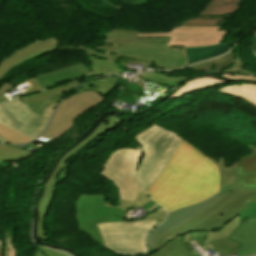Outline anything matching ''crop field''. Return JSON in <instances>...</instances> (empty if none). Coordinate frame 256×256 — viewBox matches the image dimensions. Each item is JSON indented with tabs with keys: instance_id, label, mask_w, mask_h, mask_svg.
I'll return each instance as SVG.
<instances>
[{
	"instance_id": "00972430",
	"label": "crop field",
	"mask_w": 256,
	"mask_h": 256,
	"mask_svg": "<svg viewBox=\"0 0 256 256\" xmlns=\"http://www.w3.org/2000/svg\"><path fill=\"white\" fill-rule=\"evenodd\" d=\"M82 81H78V82H72V83H68L56 88H52L46 91H42L40 93H36L33 94L34 96L29 97V95L27 96H23L20 97V99L22 101H25L26 104L30 105V104H39V103H43V102H47L59 95H61L62 93L66 92L69 88L79 84ZM54 92H56V94H54Z\"/></svg>"
},
{
	"instance_id": "425ffa30",
	"label": "crop field",
	"mask_w": 256,
	"mask_h": 256,
	"mask_svg": "<svg viewBox=\"0 0 256 256\" xmlns=\"http://www.w3.org/2000/svg\"><path fill=\"white\" fill-rule=\"evenodd\" d=\"M49 250L55 251V252H58V253H61V254L66 255V256H72L71 254H69V253H67V252H64V251L55 250V249H51V248H49Z\"/></svg>"
},
{
	"instance_id": "8a807250",
	"label": "crop field",
	"mask_w": 256,
	"mask_h": 256,
	"mask_svg": "<svg viewBox=\"0 0 256 256\" xmlns=\"http://www.w3.org/2000/svg\"><path fill=\"white\" fill-rule=\"evenodd\" d=\"M218 190L217 166L183 141L147 194L170 212L202 201Z\"/></svg>"
},
{
	"instance_id": "dbb93151",
	"label": "crop field",
	"mask_w": 256,
	"mask_h": 256,
	"mask_svg": "<svg viewBox=\"0 0 256 256\" xmlns=\"http://www.w3.org/2000/svg\"><path fill=\"white\" fill-rule=\"evenodd\" d=\"M254 52L256 53V40H255V43H254Z\"/></svg>"
},
{
	"instance_id": "bd1437ed",
	"label": "crop field",
	"mask_w": 256,
	"mask_h": 256,
	"mask_svg": "<svg viewBox=\"0 0 256 256\" xmlns=\"http://www.w3.org/2000/svg\"><path fill=\"white\" fill-rule=\"evenodd\" d=\"M143 89L140 87H137L133 85L132 83H129L123 90L120 92V94L115 98V100H118L117 106L121 105L122 102H131L133 103V97L141 96Z\"/></svg>"
},
{
	"instance_id": "3316defc",
	"label": "crop field",
	"mask_w": 256,
	"mask_h": 256,
	"mask_svg": "<svg viewBox=\"0 0 256 256\" xmlns=\"http://www.w3.org/2000/svg\"><path fill=\"white\" fill-rule=\"evenodd\" d=\"M50 118L33 113L19 98L0 104V123L36 139Z\"/></svg>"
},
{
	"instance_id": "5d738f31",
	"label": "crop field",
	"mask_w": 256,
	"mask_h": 256,
	"mask_svg": "<svg viewBox=\"0 0 256 256\" xmlns=\"http://www.w3.org/2000/svg\"><path fill=\"white\" fill-rule=\"evenodd\" d=\"M117 46H113V45H106V46H103V47H98V48H101L103 50H106L108 52H112Z\"/></svg>"
},
{
	"instance_id": "c21b1889",
	"label": "crop field",
	"mask_w": 256,
	"mask_h": 256,
	"mask_svg": "<svg viewBox=\"0 0 256 256\" xmlns=\"http://www.w3.org/2000/svg\"><path fill=\"white\" fill-rule=\"evenodd\" d=\"M3 244H4L3 256H9V252H8V235H7V231L6 230H5V240H3Z\"/></svg>"
},
{
	"instance_id": "733c2abd",
	"label": "crop field",
	"mask_w": 256,
	"mask_h": 256,
	"mask_svg": "<svg viewBox=\"0 0 256 256\" xmlns=\"http://www.w3.org/2000/svg\"><path fill=\"white\" fill-rule=\"evenodd\" d=\"M236 41L237 39L228 44H212L188 47L185 51V55L188 58V64H186V66L222 55L232 48Z\"/></svg>"
},
{
	"instance_id": "412701ff",
	"label": "crop field",
	"mask_w": 256,
	"mask_h": 256,
	"mask_svg": "<svg viewBox=\"0 0 256 256\" xmlns=\"http://www.w3.org/2000/svg\"><path fill=\"white\" fill-rule=\"evenodd\" d=\"M133 138L143 148V157L136 177L147 192L183 140L174 133L154 125Z\"/></svg>"
},
{
	"instance_id": "c035e120",
	"label": "crop field",
	"mask_w": 256,
	"mask_h": 256,
	"mask_svg": "<svg viewBox=\"0 0 256 256\" xmlns=\"http://www.w3.org/2000/svg\"><path fill=\"white\" fill-rule=\"evenodd\" d=\"M224 77L232 78V79H248V80H256V78L244 75H234V74H222Z\"/></svg>"
},
{
	"instance_id": "bc2a9ffb",
	"label": "crop field",
	"mask_w": 256,
	"mask_h": 256,
	"mask_svg": "<svg viewBox=\"0 0 256 256\" xmlns=\"http://www.w3.org/2000/svg\"><path fill=\"white\" fill-rule=\"evenodd\" d=\"M237 167L242 186L256 188V151L242 157ZM249 201L256 202V193Z\"/></svg>"
},
{
	"instance_id": "b54c1fbb",
	"label": "crop field",
	"mask_w": 256,
	"mask_h": 256,
	"mask_svg": "<svg viewBox=\"0 0 256 256\" xmlns=\"http://www.w3.org/2000/svg\"><path fill=\"white\" fill-rule=\"evenodd\" d=\"M38 247L40 248V250H41L46 256H62V255H60V254H58V253H54V252H51V251H49V250H47V249H44L43 247H41V246H39V245H38Z\"/></svg>"
},
{
	"instance_id": "03da06ac",
	"label": "crop field",
	"mask_w": 256,
	"mask_h": 256,
	"mask_svg": "<svg viewBox=\"0 0 256 256\" xmlns=\"http://www.w3.org/2000/svg\"><path fill=\"white\" fill-rule=\"evenodd\" d=\"M14 87L11 84L5 83L3 86L0 87V95L3 93L8 92L9 90L13 89Z\"/></svg>"
},
{
	"instance_id": "e52e79f7",
	"label": "crop field",
	"mask_w": 256,
	"mask_h": 256,
	"mask_svg": "<svg viewBox=\"0 0 256 256\" xmlns=\"http://www.w3.org/2000/svg\"><path fill=\"white\" fill-rule=\"evenodd\" d=\"M140 150L121 149L113 152L99 174L113 182L118 188L120 200L134 201L138 181L134 171Z\"/></svg>"
},
{
	"instance_id": "25e5ab78",
	"label": "crop field",
	"mask_w": 256,
	"mask_h": 256,
	"mask_svg": "<svg viewBox=\"0 0 256 256\" xmlns=\"http://www.w3.org/2000/svg\"><path fill=\"white\" fill-rule=\"evenodd\" d=\"M8 100L7 97L3 94L0 96V102Z\"/></svg>"
},
{
	"instance_id": "0fb4a251",
	"label": "crop field",
	"mask_w": 256,
	"mask_h": 256,
	"mask_svg": "<svg viewBox=\"0 0 256 256\" xmlns=\"http://www.w3.org/2000/svg\"><path fill=\"white\" fill-rule=\"evenodd\" d=\"M22 93H20V94H17V95H15V96H12V97H10V98H13V97H16V96H19V95H21Z\"/></svg>"
},
{
	"instance_id": "89e229c0",
	"label": "crop field",
	"mask_w": 256,
	"mask_h": 256,
	"mask_svg": "<svg viewBox=\"0 0 256 256\" xmlns=\"http://www.w3.org/2000/svg\"><path fill=\"white\" fill-rule=\"evenodd\" d=\"M0 166H3V167H9L8 164H4V163H0Z\"/></svg>"
},
{
	"instance_id": "4177f3b9",
	"label": "crop field",
	"mask_w": 256,
	"mask_h": 256,
	"mask_svg": "<svg viewBox=\"0 0 256 256\" xmlns=\"http://www.w3.org/2000/svg\"><path fill=\"white\" fill-rule=\"evenodd\" d=\"M91 70L84 77L107 75L111 73H122L125 70L120 65L110 60L90 58Z\"/></svg>"
},
{
	"instance_id": "1f2cbd36",
	"label": "crop field",
	"mask_w": 256,
	"mask_h": 256,
	"mask_svg": "<svg viewBox=\"0 0 256 256\" xmlns=\"http://www.w3.org/2000/svg\"><path fill=\"white\" fill-rule=\"evenodd\" d=\"M0 250H3L2 240H0Z\"/></svg>"
},
{
	"instance_id": "d23c7cc5",
	"label": "crop field",
	"mask_w": 256,
	"mask_h": 256,
	"mask_svg": "<svg viewBox=\"0 0 256 256\" xmlns=\"http://www.w3.org/2000/svg\"><path fill=\"white\" fill-rule=\"evenodd\" d=\"M9 252H10V256H15V249L12 246L11 238H9Z\"/></svg>"
},
{
	"instance_id": "dd49c442",
	"label": "crop field",
	"mask_w": 256,
	"mask_h": 256,
	"mask_svg": "<svg viewBox=\"0 0 256 256\" xmlns=\"http://www.w3.org/2000/svg\"><path fill=\"white\" fill-rule=\"evenodd\" d=\"M120 122L121 120L114 117H110L109 119L103 121L91 136H89L86 140L81 142L74 149L68 152L63 158L60 159L59 163L57 164V167L55 168L52 176L50 177L44 188L45 191L43 193L40 206L38 209L39 222L37 225V236H39L41 239H46L43 234V220L44 216L46 215L47 207L52 199V195L57 183L66 179V171L69 164L73 160H75L81 152L85 151L86 149L92 147L98 141L102 140L105 131L115 127Z\"/></svg>"
},
{
	"instance_id": "d9b57169",
	"label": "crop field",
	"mask_w": 256,
	"mask_h": 256,
	"mask_svg": "<svg viewBox=\"0 0 256 256\" xmlns=\"http://www.w3.org/2000/svg\"><path fill=\"white\" fill-rule=\"evenodd\" d=\"M244 221L229 239L240 243L238 256L256 255V218Z\"/></svg>"
},
{
	"instance_id": "e1f06a70",
	"label": "crop field",
	"mask_w": 256,
	"mask_h": 256,
	"mask_svg": "<svg viewBox=\"0 0 256 256\" xmlns=\"http://www.w3.org/2000/svg\"><path fill=\"white\" fill-rule=\"evenodd\" d=\"M215 21L205 20V19H199V18H192L189 19L180 25H214Z\"/></svg>"
},
{
	"instance_id": "0bd39190",
	"label": "crop field",
	"mask_w": 256,
	"mask_h": 256,
	"mask_svg": "<svg viewBox=\"0 0 256 256\" xmlns=\"http://www.w3.org/2000/svg\"><path fill=\"white\" fill-rule=\"evenodd\" d=\"M26 82H27V84H28L29 86H27L28 88L23 89V91H24L25 93L36 92V91L41 90V87H40V85H39L37 79L31 78V79L27 80Z\"/></svg>"
},
{
	"instance_id": "eef30255",
	"label": "crop field",
	"mask_w": 256,
	"mask_h": 256,
	"mask_svg": "<svg viewBox=\"0 0 256 256\" xmlns=\"http://www.w3.org/2000/svg\"><path fill=\"white\" fill-rule=\"evenodd\" d=\"M183 236L184 235L172 239L151 256H193L188 248L183 245Z\"/></svg>"
},
{
	"instance_id": "ae1a2a85",
	"label": "crop field",
	"mask_w": 256,
	"mask_h": 256,
	"mask_svg": "<svg viewBox=\"0 0 256 256\" xmlns=\"http://www.w3.org/2000/svg\"><path fill=\"white\" fill-rule=\"evenodd\" d=\"M209 159L212 160L219 167V170H220V190H219V192H220L221 190H223L224 188L227 187L228 183L236 175H238L236 162L231 167L227 168L224 165L223 158H220L219 162H216V160L213 158H209Z\"/></svg>"
},
{
	"instance_id": "ac0d7876",
	"label": "crop field",
	"mask_w": 256,
	"mask_h": 256,
	"mask_svg": "<svg viewBox=\"0 0 256 256\" xmlns=\"http://www.w3.org/2000/svg\"><path fill=\"white\" fill-rule=\"evenodd\" d=\"M76 217L79 224V230L90 234L92 240L104 246L100 231L95 223L101 222H125L124 211L137 206H142L143 203L148 204L147 208L151 209L155 204L148 198L141 186L137 191L135 202L120 201V206L114 208L106 203L103 195L89 196L80 195L76 202ZM134 209V211H135ZM126 212V211H125ZM166 213L163 210H158L149 214L144 220L159 219L155 227L158 226L165 218ZM154 227V228H155ZM153 228V229H154ZM105 247V246H104Z\"/></svg>"
},
{
	"instance_id": "4a817a6b",
	"label": "crop field",
	"mask_w": 256,
	"mask_h": 256,
	"mask_svg": "<svg viewBox=\"0 0 256 256\" xmlns=\"http://www.w3.org/2000/svg\"><path fill=\"white\" fill-rule=\"evenodd\" d=\"M88 71L89 70L82 63H80L78 65L44 74L36 78L44 90V88L54 85L60 81L81 77L88 73Z\"/></svg>"
},
{
	"instance_id": "5142ce71",
	"label": "crop field",
	"mask_w": 256,
	"mask_h": 256,
	"mask_svg": "<svg viewBox=\"0 0 256 256\" xmlns=\"http://www.w3.org/2000/svg\"><path fill=\"white\" fill-rule=\"evenodd\" d=\"M243 63L239 57V53L237 49H233L226 55L215 58L212 60H208L189 68L196 71H231V72H241L247 74H254L255 72L243 70Z\"/></svg>"
},
{
	"instance_id": "1d83c4d3",
	"label": "crop field",
	"mask_w": 256,
	"mask_h": 256,
	"mask_svg": "<svg viewBox=\"0 0 256 256\" xmlns=\"http://www.w3.org/2000/svg\"><path fill=\"white\" fill-rule=\"evenodd\" d=\"M65 94L59 96L58 98L51 100L48 103L39 104V105H31L29 107L31 108L32 111H34L38 115L50 117L54 107L56 106L58 101L64 97Z\"/></svg>"
},
{
	"instance_id": "a9b5d70f",
	"label": "crop field",
	"mask_w": 256,
	"mask_h": 256,
	"mask_svg": "<svg viewBox=\"0 0 256 256\" xmlns=\"http://www.w3.org/2000/svg\"><path fill=\"white\" fill-rule=\"evenodd\" d=\"M240 0H210L200 15H225L238 9Z\"/></svg>"
},
{
	"instance_id": "1d79db26",
	"label": "crop field",
	"mask_w": 256,
	"mask_h": 256,
	"mask_svg": "<svg viewBox=\"0 0 256 256\" xmlns=\"http://www.w3.org/2000/svg\"><path fill=\"white\" fill-rule=\"evenodd\" d=\"M35 256H42V255H40L38 252H36V255Z\"/></svg>"
},
{
	"instance_id": "b80d0937",
	"label": "crop field",
	"mask_w": 256,
	"mask_h": 256,
	"mask_svg": "<svg viewBox=\"0 0 256 256\" xmlns=\"http://www.w3.org/2000/svg\"><path fill=\"white\" fill-rule=\"evenodd\" d=\"M239 187H241V184H240L239 177L237 176L233 180V182L225 190L221 191L220 193L224 194L226 192L232 191V190H234L236 188H239Z\"/></svg>"
},
{
	"instance_id": "cbeb9de0",
	"label": "crop field",
	"mask_w": 256,
	"mask_h": 256,
	"mask_svg": "<svg viewBox=\"0 0 256 256\" xmlns=\"http://www.w3.org/2000/svg\"><path fill=\"white\" fill-rule=\"evenodd\" d=\"M244 222L238 216L229 221L217 232H209L205 244L210 249H216L222 256H230L232 248L239 244L226 239Z\"/></svg>"
},
{
	"instance_id": "28ad6ade",
	"label": "crop field",
	"mask_w": 256,
	"mask_h": 256,
	"mask_svg": "<svg viewBox=\"0 0 256 256\" xmlns=\"http://www.w3.org/2000/svg\"><path fill=\"white\" fill-rule=\"evenodd\" d=\"M225 31L216 26H177L165 33H138L137 37H172L170 46H195L220 43Z\"/></svg>"
},
{
	"instance_id": "5a996713",
	"label": "crop field",
	"mask_w": 256,
	"mask_h": 256,
	"mask_svg": "<svg viewBox=\"0 0 256 256\" xmlns=\"http://www.w3.org/2000/svg\"><path fill=\"white\" fill-rule=\"evenodd\" d=\"M112 53L131 59L150 60L162 69H177L186 64V57L168 49L167 43L136 42L135 47L118 46Z\"/></svg>"
},
{
	"instance_id": "22f410ed",
	"label": "crop field",
	"mask_w": 256,
	"mask_h": 256,
	"mask_svg": "<svg viewBox=\"0 0 256 256\" xmlns=\"http://www.w3.org/2000/svg\"><path fill=\"white\" fill-rule=\"evenodd\" d=\"M222 194H218L214 197H211L195 206L183 208L180 210H176L170 214H168V217L164 223H162L158 228L153 230L151 233L147 236V247L148 250L155 248V239L162 233L176 227L177 225L183 223L190 217L197 214L198 211L212 203L214 200H216L219 196Z\"/></svg>"
},
{
	"instance_id": "f4fd0767",
	"label": "crop field",
	"mask_w": 256,
	"mask_h": 256,
	"mask_svg": "<svg viewBox=\"0 0 256 256\" xmlns=\"http://www.w3.org/2000/svg\"><path fill=\"white\" fill-rule=\"evenodd\" d=\"M157 220L133 223H102L98 224L103 242L110 250L139 256L146 252L145 235L152 230Z\"/></svg>"
},
{
	"instance_id": "120bbe31",
	"label": "crop field",
	"mask_w": 256,
	"mask_h": 256,
	"mask_svg": "<svg viewBox=\"0 0 256 256\" xmlns=\"http://www.w3.org/2000/svg\"><path fill=\"white\" fill-rule=\"evenodd\" d=\"M26 153L28 151L0 145V161L15 159Z\"/></svg>"
},
{
	"instance_id": "5866460e",
	"label": "crop field",
	"mask_w": 256,
	"mask_h": 256,
	"mask_svg": "<svg viewBox=\"0 0 256 256\" xmlns=\"http://www.w3.org/2000/svg\"><path fill=\"white\" fill-rule=\"evenodd\" d=\"M208 232H194L184 236L183 243L185 245L190 244L189 242L195 241L199 246L204 245L205 237Z\"/></svg>"
},
{
	"instance_id": "d3111659",
	"label": "crop field",
	"mask_w": 256,
	"mask_h": 256,
	"mask_svg": "<svg viewBox=\"0 0 256 256\" xmlns=\"http://www.w3.org/2000/svg\"><path fill=\"white\" fill-rule=\"evenodd\" d=\"M143 80H147L150 82H155L161 85H166L169 87H174L175 85L178 84V82L186 79L185 76H174V77H169L162 75L157 72H149L141 75Z\"/></svg>"
},
{
	"instance_id": "730fd06b",
	"label": "crop field",
	"mask_w": 256,
	"mask_h": 256,
	"mask_svg": "<svg viewBox=\"0 0 256 256\" xmlns=\"http://www.w3.org/2000/svg\"><path fill=\"white\" fill-rule=\"evenodd\" d=\"M118 78L120 77H106L104 80H92L88 81L84 85L80 86L76 89V93H79L83 90H93L95 92L100 93L102 96H106V94L118 83ZM121 79H129V78H121Z\"/></svg>"
},
{
	"instance_id": "d8731c3e",
	"label": "crop field",
	"mask_w": 256,
	"mask_h": 256,
	"mask_svg": "<svg viewBox=\"0 0 256 256\" xmlns=\"http://www.w3.org/2000/svg\"><path fill=\"white\" fill-rule=\"evenodd\" d=\"M105 98L93 91H83L65 99L46 130L44 137L56 139L73 124V121L84 111L101 103ZM69 130V129H68Z\"/></svg>"
},
{
	"instance_id": "d1516ede",
	"label": "crop field",
	"mask_w": 256,
	"mask_h": 256,
	"mask_svg": "<svg viewBox=\"0 0 256 256\" xmlns=\"http://www.w3.org/2000/svg\"><path fill=\"white\" fill-rule=\"evenodd\" d=\"M59 41L55 38L49 40L33 43L26 46L15 53L9 55L0 63V79L9 73L17 65L24 63L26 60L37 57L45 52L56 49Z\"/></svg>"
},
{
	"instance_id": "9d1cf04e",
	"label": "crop field",
	"mask_w": 256,
	"mask_h": 256,
	"mask_svg": "<svg viewBox=\"0 0 256 256\" xmlns=\"http://www.w3.org/2000/svg\"><path fill=\"white\" fill-rule=\"evenodd\" d=\"M2 252H3V251H0V256H2Z\"/></svg>"
},
{
	"instance_id": "447ae74e",
	"label": "crop field",
	"mask_w": 256,
	"mask_h": 256,
	"mask_svg": "<svg viewBox=\"0 0 256 256\" xmlns=\"http://www.w3.org/2000/svg\"><path fill=\"white\" fill-rule=\"evenodd\" d=\"M2 60L0 59V62H1Z\"/></svg>"
},
{
	"instance_id": "028f5c9d",
	"label": "crop field",
	"mask_w": 256,
	"mask_h": 256,
	"mask_svg": "<svg viewBox=\"0 0 256 256\" xmlns=\"http://www.w3.org/2000/svg\"><path fill=\"white\" fill-rule=\"evenodd\" d=\"M238 216L241 217L242 219L255 218L256 203L247 201V203L244 205Z\"/></svg>"
},
{
	"instance_id": "dafd665d",
	"label": "crop field",
	"mask_w": 256,
	"mask_h": 256,
	"mask_svg": "<svg viewBox=\"0 0 256 256\" xmlns=\"http://www.w3.org/2000/svg\"><path fill=\"white\" fill-rule=\"evenodd\" d=\"M223 83H226V81L217 80L215 78L210 77H203L198 78L195 80H192L190 82H187L185 84H182L170 97L169 99H174L176 97L193 93L202 89L214 87L217 85H221Z\"/></svg>"
},
{
	"instance_id": "214f88e0",
	"label": "crop field",
	"mask_w": 256,
	"mask_h": 256,
	"mask_svg": "<svg viewBox=\"0 0 256 256\" xmlns=\"http://www.w3.org/2000/svg\"><path fill=\"white\" fill-rule=\"evenodd\" d=\"M137 32L126 30H112L105 34L104 42L113 45H133L135 41H159L168 42L170 38H136Z\"/></svg>"
},
{
	"instance_id": "750c4746",
	"label": "crop field",
	"mask_w": 256,
	"mask_h": 256,
	"mask_svg": "<svg viewBox=\"0 0 256 256\" xmlns=\"http://www.w3.org/2000/svg\"><path fill=\"white\" fill-rule=\"evenodd\" d=\"M0 137L5 139L2 143L8 144H24L33 140L2 125H0ZM6 137H8V139H6Z\"/></svg>"
},
{
	"instance_id": "d32e631a",
	"label": "crop field",
	"mask_w": 256,
	"mask_h": 256,
	"mask_svg": "<svg viewBox=\"0 0 256 256\" xmlns=\"http://www.w3.org/2000/svg\"><path fill=\"white\" fill-rule=\"evenodd\" d=\"M62 48H72V49H80V50H84L85 52L93 55V56H98V57H103V58H107V59H111V60H115V59H119L122 60L124 62H128V63H145V64H149V67L155 66L154 63L149 62V61H136V60H130V59H126V58H122V57H114V56H110V55H102L99 54L97 52H95L93 49L90 48H81V47H62Z\"/></svg>"
},
{
	"instance_id": "73cf0c24",
	"label": "crop field",
	"mask_w": 256,
	"mask_h": 256,
	"mask_svg": "<svg viewBox=\"0 0 256 256\" xmlns=\"http://www.w3.org/2000/svg\"><path fill=\"white\" fill-rule=\"evenodd\" d=\"M31 155V152H29L27 155H25V156H23V157H21V158H18V159H15V160H20V159H24V158H27V157H29Z\"/></svg>"
},
{
	"instance_id": "92a150f3",
	"label": "crop field",
	"mask_w": 256,
	"mask_h": 256,
	"mask_svg": "<svg viewBox=\"0 0 256 256\" xmlns=\"http://www.w3.org/2000/svg\"><path fill=\"white\" fill-rule=\"evenodd\" d=\"M217 92L229 96L240 98L252 106L256 107V85L252 84H233L225 86Z\"/></svg>"
},
{
	"instance_id": "34b2d1b8",
	"label": "crop field",
	"mask_w": 256,
	"mask_h": 256,
	"mask_svg": "<svg viewBox=\"0 0 256 256\" xmlns=\"http://www.w3.org/2000/svg\"><path fill=\"white\" fill-rule=\"evenodd\" d=\"M256 192V189L241 187L222 195L197 215L176 228L162 234L156 240L157 248L150 250L152 254L170 239L194 231H217L225 223L237 216L245 202Z\"/></svg>"
}]
</instances>
